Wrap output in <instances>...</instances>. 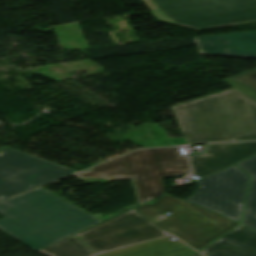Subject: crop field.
Listing matches in <instances>:
<instances>
[{"label": "crop field", "instance_id": "obj_13", "mask_svg": "<svg viewBox=\"0 0 256 256\" xmlns=\"http://www.w3.org/2000/svg\"><path fill=\"white\" fill-rule=\"evenodd\" d=\"M48 256H93L91 251L75 235L39 250Z\"/></svg>", "mask_w": 256, "mask_h": 256}, {"label": "crop field", "instance_id": "obj_1", "mask_svg": "<svg viewBox=\"0 0 256 256\" xmlns=\"http://www.w3.org/2000/svg\"><path fill=\"white\" fill-rule=\"evenodd\" d=\"M0 213V229L33 250L101 222L41 188L0 203Z\"/></svg>", "mask_w": 256, "mask_h": 256}, {"label": "crop field", "instance_id": "obj_3", "mask_svg": "<svg viewBox=\"0 0 256 256\" xmlns=\"http://www.w3.org/2000/svg\"><path fill=\"white\" fill-rule=\"evenodd\" d=\"M178 147L142 149L75 176H132L139 205L164 194L161 176L189 173ZM153 200V199H152Z\"/></svg>", "mask_w": 256, "mask_h": 256}, {"label": "crop field", "instance_id": "obj_6", "mask_svg": "<svg viewBox=\"0 0 256 256\" xmlns=\"http://www.w3.org/2000/svg\"><path fill=\"white\" fill-rule=\"evenodd\" d=\"M77 171L7 147L0 149V201Z\"/></svg>", "mask_w": 256, "mask_h": 256}, {"label": "crop field", "instance_id": "obj_14", "mask_svg": "<svg viewBox=\"0 0 256 256\" xmlns=\"http://www.w3.org/2000/svg\"><path fill=\"white\" fill-rule=\"evenodd\" d=\"M237 165L252 176L243 224L256 229V156Z\"/></svg>", "mask_w": 256, "mask_h": 256}, {"label": "crop field", "instance_id": "obj_18", "mask_svg": "<svg viewBox=\"0 0 256 256\" xmlns=\"http://www.w3.org/2000/svg\"><path fill=\"white\" fill-rule=\"evenodd\" d=\"M95 256H97V255H95Z\"/></svg>", "mask_w": 256, "mask_h": 256}, {"label": "crop field", "instance_id": "obj_10", "mask_svg": "<svg viewBox=\"0 0 256 256\" xmlns=\"http://www.w3.org/2000/svg\"><path fill=\"white\" fill-rule=\"evenodd\" d=\"M201 55L256 58V31L194 38Z\"/></svg>", "mask_w": 256, "mask_h": 256}, {"label": "crop field", "instance_id": "obj_11", "mask_svg": "<svg viewBox=\"0 0 256 256\" xmlns=\"http://www.w3.org/2000/svg\"><path fill=\"white\" fill-rule=\"evenodd\" d=\"M200 252L206 256H256V230L242 225Z\"/></svg>", "mask_w": 256, "mask_h": 256}, {"label": "crop field", "instance_id": "obj_7", "mask_svg": "<svg viewBox=\"0 0 256 256\" xmlns=\"http://www.w3.org/2000/svg\"><path fill=\"white\" fill-rule=\"evenodd\" d=\"M248 180L232 165L196 181L197 188L187 200L240 223Z\"/></svg>", "mask_w": 256, "mask_h": 256}, {"label": "crop field", "instance_id": "obj_2", "mask_svg": "<svg viewBox=\"0 0 256 256\" xmlns=\"http://www.w3.org/2000/svg\"><path fill=\"white\" fill-rule=\"evenodd\" d=\"M172 109L187 144L256 139V100L235 88Z\"/></svg>", "mask_w": 256, "mask_h": 256}, {"label": "crop field", "instance_id": "obj_5", "mask_svg": "<svg viewBox=\"0 0 256 256\" xmlns=\"http://www.w3.org/2000/svg\"><path fill=\"white\" fill-rule=\"evenodd\" d=\"M166 22L197 29L256 20V0H144Z\"/></svg>", "mask_w": 256, "mask_h": 256}, {"label": "crop field", "instance_id": "obj_16", "mask_svg": "<svg viewBox=\"0 0 256 256\" xmlns=\"http://www.w3.org/2000/svg\"><path fill=\"white\" fill-rule=\"evenodd\" d=\"M109 181L131 179V177H104Z\"/></svg>", "mask_w": 256, "mask_h": 256}, {"label": "crop field", "instance_id": "obj_8", "mask_svg": "<svg viewBox=\"0 0 256 256\" xmlns=\"http://www.w3.org/2000/svg\"><path fill=\"white\" fill-rule=\"evenodd\" d=\"M167 234L161 227L131 210L77 235L99 253Z\"/></svg>", "mask_w": 256, "mask_h": 256}, {"label": "crop field", "instance_id": "obj_12", "mask_svg": "<svg viewBox=\"0 0 256 256\" xmlns=\"http://www.w3.org/2000/svg\"><path fill=\"white\" fill-rule=\"evenodd\" d=\"M167 236L158 240L134 245L99 256H183L195 252L179 240Z\"/></svg>", "mask_w": 256, "mask_h": 256}, {"label": "crop field", "instance_id": "obj_9", "mask_svg": "<svg viewBox=\"0 0 256 256\" xmlns=\"http://www.w3.org/2000/svg\"><path fill=\"white\" fill-rule=\"evenodd\" d=\"M206 154L188 155L192 174L205 178L256 154V142L208 144Z\"/></svg>", "mask_w": 256, "mask_h": 256}, {"label": "crop field", "instance_id": "obj_15", "mask_svg": "<svg viewBox=\"0 0 256 256\" xmlns=\"http://www.w3.org/2000/svg\"><path fill=\"white\" fill-rule=\"evenodd\" d=\"M222 81L256 99V68Z\"/></svg>", "mask_w": 256, "mask_h": 256}, {"label": "crop field", "instance_id": "obj_4", "mask_svg": "<svg viewBox=\"0 0 256 256\" xmlns=\"http://www.w3.org/2000/svg\"><path fill=\"white\" fill-rule=\"evenodd\" d=\"M135 211L152 220L195 250H199L239 223L167 194ZM171 213L168 217L163 214Z\"/></svg>", "mask_w": 256, "mask_h": 256}, {"label": "crop field", "instance_id": "obj_17", "mask_svg": "<svg viewBox=\"0 0 256 256\" xmlns=\"http://www.w3.org/2000/svg\"><path fill=\"white\" fill-rule=\"evenodd\" d=\"M193 256H202V255H200V254L197 253L196 255H193Z\"/></svg>", "mask_w": 256, "mask_h": 256}]
</instances>
